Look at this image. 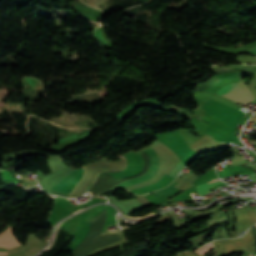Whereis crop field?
<instances>
[{"mask_svg": "<svg viewBox=\"0 0 256 256\" xmlns=\"http://www.w3.org/2000/svg\"><path fill=\"white\" fill-rule=\"evenodd\" d=\"M216 94L221 95L239 104H241L242 102L245 104L250 100L254 99L253 95L250 93V91L247 89L242 81L227 85L220 89L218 92H216Z\"/></svg>", "mask_w": 256, "mask_h": 256, "instance_id": "1", "label": "crop field"}, {"mask_svg": "<svg viewBox=\"0 0 256 256\" xmlns=\"http://www.w3.org/2000/svg\"><path fill=\"white\" fill-rule=\"evenodd\" d=\"M145 152L149 156V167H148L147 172L142 177H140L138 179H134V180H131V181L116 184V186L112 189L123 188V187H126V186H131V185H135V184H138V183L145 182V181L149 180L150 178H152L156 174V172L158 170V156H157V153H156L155 150H153L151 148L145 150ZM88 194H91V193L88 192Z\"/></svg>", "mask_w": 256, "mask_h": 256, "instance_id": "2", "label": "crop field"}, {"mask_svg": "<svg viewBox=\"0 0 256 256\" xmlns=\"http://www.w3.org/2000/svg\"><path fill=\"white\" fill-rule=\"evenodd\" d=\"M83 174L84 168L77 169L71 175H69L67 178L61 181L59 184H57L56 186L54 185L55 187L51 189L69 195L70 192L73 190L74 186L83 177Z\"/></svg>", "mask_w": 256, "mask_h": 256, "instance_id": "3", "label": "crop field"}, {"mask_svg": "<svg viewBox=\"0 0 256 256\" xmlns=\"http://www.w3.org/2000/svg\"><path fill=\"white\" fill-rule=\"evenodd\" d=\"M176 184H177L176 182H173L169 187L162 189L160 191L154 192L152 194L162 196V197H171L181 191L174 187Z\"/></svg>", "mask_w": 256, "mask_h": 256, "instance_id": "4", "label": "crop field"}, {"mask_svg": "<svg viewBox=\"0 0 256 256\" xmlns=\"http://www.w3.org/2000/svg\"><path fill=\"white\" fill-rule=\"evenodd\" d=\"M218 183H224V182H222L219 179H217V180H215L213 182L210 181V182H207V183H204V184L197 185V186H195V188H196L197 192H199L201 190H204V189H207L209 187H212V186H214V185H216Z\"/></svg>", "mask_w": 256, "mask_h": 256, "instance_id": "5", "label": "crop field"}, {"mask_svg": "<svg viewBox=\"0 0 256 256\" xmlns=\"http://www.w3.org/2000/svg\"><path fill=\"white\" fill-rule=\"evenodd\" d=\"M137 197V196H136ZM143 207L150 206V203L145 197H137Z\"/></svg>", "mask_w": 256, "mask_h": 256, "instance_id": "6", "label": "crop field"}, {"mask_svg": "<svg viewBox=\"0 0 256 256\" xmlns=\"http://www.w3.org/2000/svg\"><path fill=\"white\" fill-rule=\"evenodd\" d=\"M101 30H102V32H103V34H104V36L106 37V39L108 40V42H109V44H110L111 49H113V44H112L111 40L107 37V35H106V31H105L104 27H101Z\"/></svg>", "mask_w": 256, "mask_h": 256, "instance_id": "7", "label": "crop field"}, {"mask_svg": "<svg viewBox=\"0 0 256 256\" xmlns=\"http://www.w3.org/2000/svg\"><path fill=\"white\" fill-rule=\"evenodd\" d=\"M247 53H251V54L256 55V47H254L251 50L247 51Z\"/></svg>", "mask_w": 256, "mask_h": 256, "instance_id": "8", "label": "crop field"}, {"mask_svg": "<svg viewBox=\"0 0 256 256\" xmlns=\"http://www.w3.org/2000/svg\"><path fill=\"white\" fill-rule=\"evenodd\" d=\"M36 81H38V80L34 78L32 84H31L32 87L35 85Z\"/></svg>", "mask_w": 256, "mask_h": 256, "instance_id": "9", "label": "crop field"}, {"mask_svg": "<svg viewBox=\"0 0 256 256\" xmlns=\"http://www.w3.org/2000/svg\"><path fill=\"white\" fill-rule=\"evenodd\" d=\"M249 163H251V162H245V163H240V164H249Z\"/></svg>", "mask_w": 256, "mask_h": 256, "instance_id": "10", "label": "crop field"}]
</instances>
